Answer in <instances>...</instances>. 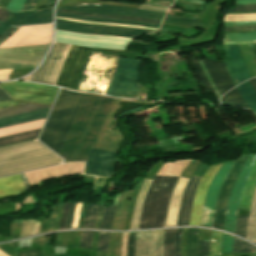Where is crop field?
Instances as JSON below:
<instances>
[{"label":"crop field","instance_id":"obj_1","mask_svg":"<svg viewBox=\"0 0 256 256\" xmlns=\"http://www.w3.org/2000/svg\"><path fill=\"white\" fill-rule=\"evenodd\" d=\"M114 98L87 93L59 153L68 162L85 160ZM116 154L92 149L84 174L113 175Z\"/></svg>","mask_w":256,"mask_h":256},{"label":"crop field","instance_id":"obj_2","mask_svg":"<svg viewBox=\"0 0 256 256\" xmlns=\"http://www.w3.org/2000/svg\"><path fill=\"white\" fill-rule=\"evenodd\" d=\"M62 162V158L39 141L0 148V175Z\"/></svg>","mask_w":256,"mask_h":256},{"label":"crop field","instance_id":"obj_3","mask_svg":"<svg viewBox=\"0 0 256 256\" xmlns=\"http://www.w3.org/2000/svg\"><path fill=\"white\" fill-rule=\"evenodd\" d=\"M86 93L62 90L45 130L40 138L59 153L63 140L71 126Z\"/></svg>","mask_w":256,"mask_h":256},{"label":"crop field","instance_id":"obj_4","mask_svg":"<svg viewBox=\"0 0 256 256\" xmlns=\"http://www.w3.org/2000/svg\"><path fill=\"white\" fill-rule=\"evenodd\" d=\"M178 177L155 176L145 199L139 229L163 227Z\"/></svg>","mask_w":256,"mask_h":256},{"label":"crop field","instance_id":"obj_5","mask_svg":"<svg viewBox=\"0 0 256 256\" xmlns=\"http://www.w3.org/2000/svg\"><path fill=\"white\" fill-rule=\"evenodd\" d=\"M14 100L51 105L59 88L26 82L0 83Z\"/></svg>","mask_w":256,"mask_h":256},{"label":"crop field","instance_id":"obj_6","mask_svg":"<svg viewBox=\"0 0 256 256\" xmlns=\"http://www.w3.org/2000/svg\"><path fill=\"white\" fill-rule=\"evenodd\" d=\"M49 44L44 45H33V46H22L12 48H1L0 49V67H13V66H27L34 65L40 62L44 56ZM33 66L27 67H13V68H0V69H22L32 68Z\"/></svg>","mask_w":256,"mask_h":256},{"label":"crop field","instance_id":"obj_7","mask_svg":"<svg viewBox=\"0 0 256 256\" xmlns=\"http://www.w3.org/2000/svg\"><path fill=\"white\" fill-rule=\"evenodd\" d=\"M71 45L55 42L41 67L27 80L55 85Z\"/></svg>","mask_w":256,"mask_h":256},{"label":"crop field","instance_id":"obj_8","mask_svg":"<svg viewBox=\"0 0 256 256\" xmlns=\"http://www.w3.org/2000/svg\"><path fill=\"white\" fill-rule=\"evenodd\" d=\"M140 61L120 58L115 78L107 95H138V68Z\"/></svg>","mask_w":256,"mask_h":256},{"label":"crop field","instance_id":"obj_9","mask_svg":"<svg viewBox=\"0 0 256 256\" xmlns=\"http://www.w3.org/2000/svg\"><path fill=\"white\" fill-rule=\"evenodd\" d=\"M91 48L72 45L56 85L75 89Z\"/></svg>","mask_w":256,"mask_h":256},{"label":"crop field","instance_id":"obj_10","mask_svg":"<svg viewBox=\"0 0 256 256\" xmlns=\"http://www.w3.org/2000/svg\"><path fill=\"white\" fill-rule=\"evenodd\" d=\"M255 158H256V155H249L248 159L246 160L245 164L241 169L239 177L236 181V184L230 196L227 216L225 221V227H224L225 230L235 233V225H236L240 196L243 191L244 185L246 183V180L248 178V175L250 173V170L252 168Z\"/></svg>","mask_w":256,"mask_h":256},{"label":"crop field","instance_id":"obj_11","mask_svg":"<svg viewBox=\"0 0 256 256\" xmlns=\"http://www.w3.org/2000/svg\"><path fill=\"white\" fill-rule=\"evenodd\" d=\"M243 163L244 162H236L234 164L221 188L214 217L213 228L215 229L223 230L229 196Z\"/></svg>","mask_w":256,"mask_h":256},{"label":"crop field","instance_id":"obj_12","mask_svg":"<svg viewBox=\"0 0 256 256\" xmlns=\"http://www.w3.org/2000/svg\"><path fill=\"white\" fill-rule=\"evenodd\" d=\"M235 161L225 162L220 168L213 181L211 182L204 202V209L202 218L206 219L205 224L209 225L210 219H213L214 209L218 197L219 190L221 188L222 182L227 173H229L231 167Z\"/></svg>","mask_w":256,"mask_h":256},{"label":"crop field","instance_id":"obj_13","mask_svg":"<svg viewBox=\"0 0 256 256\" xmlns=\"http://www.w3.org/2000/svg\"><path fill=\"white\" fill-rule=\"evenodd\" d=\"M154 231L138 233L137 256H163L164 230Z\"/></svg>","mask_w":256,"mask_h":256},{"label":"crop field","instance_id":"obj_14","mask_svg":"<svg viewBox=\"0 0 256 256\" xmlns=\"http://www.w3.org/2000/svg\"><path fill=\"white\" fill-rule=\"evenodd\" d=\"M226 56L228 60H225L224 63L235 83L238 85L244 80L251 78L239 50L238 45H227L224 46Z\"/></svg>","mask_w":256,"mask_h":256},{"label":"crop field","instance_id":"obj_15","mask_svg":"<svg viewBox=\"0 0 256 256\" xmlns=\"http://www.w3.org/2000/svg\"><path fill=\"white\" fill-rule=\"evenodd\" d=\"M221 165H222V163L211 166L207 170V172L204 174V176L198 186L196 194L194 196L189 226H199L202 207H203V201H204V197H205L207 188H208L210 182L212 181L216 171L219 169V167Z\"/></svg>","mask_w":256,"mask_h":256},{"label":"crop field","instance_id":"obj_16","mask_svg":"<svg viewBox=\"0 0 256 256\" xmlns=\"http://www.w3.org/2000/svg\"><path fill=\"white\" fill-rule=\"evenodd\" d=\"M221 96L235 87L223 61L202 60Z\"/></svg>","mask_w":256,"mask_h":256},{"label":"crop field","instance_id":"obj_17","mask_svg":"<svg viewBox=\"0 0 256 256\" xmlns=\"http://www.w3.org/2000/svg\"><path fill=\"white\" fill-rule=\"evenodd\" d=\"M120 99H114L110 110L106 116V119L101 127V130L97 136V139L93 145L92 148L95 149H101V150H108V151H114L117 152L118 148H119V140L117 139L116 136L112 135L111 133H109L107 131L109 125H110V121H111V117L119 103Z\"/></svg>","mask_w":256,"mask_h":256},{"label":"crop field","instance_id":"obj_18","mask_svg":"<svg viewBox=\"0 0 256 256\" xmlns=\"http://www.w3.org/2000/svg\"><path fill=\"white\" fill-rule=\"evenodd\" d=\"M52 22V6L30 13L9 14L3 25H23Z\"/></svg>","mask_w":256,"mask_h":256},{"label":"crop field","instance_id":"obj_19","mask_svg":"<svg viewBox=\"0 0 256 256\" xmlns=\"http://www.w3.org/2000/svg\"><path fill=\"white\" fill-rule=\"evenodd\" d=\"M195 178H196V175H193L184 192L177 226H180V225L188 226L189 224L193 196L195 194L197 185L201 179L200 177H197V179L195 180Z\"/></svg>","mask_w":256,"mask_h":256},{"label":"crop field","instance_id":"obj_20","mask_svg":"<svg viewBox=\"0 0 256 256\" xmlns=\"http://www.w3.org/2000/svg\"><path fill=\"white\" fill-rule=\"evenodd\" d=\"M187 182H188V179L181 176L174 189V192L170 200L168 212H167V217L165 222L166 227L175 226L181 199H182L183 192Z\"/></svg>","mask_w":256,"mask_h":256},{"label":"crop field","instance_id":"obj_21","mask_svg":"<svg viewBox=\"0 0 256 256\" xmlns=\"http://www.w3.org/2000/svg\"><path fill=\"white\" fill-rule=\"evenodd\" d=\"M56 25L85 28L90 30L125 32V33H133V34H147L154 31V30L127 28V27L101 26V25H93V24H86V23H79V22L63 21V20H57V19H56Z\"/></svg>","mask_w":256,"mask_h":256},{"label":"crop field","instance_id":"obj_22","mask_svg":"<svg viewBox=\"0 0 256 256\" xmlns=\"http://www.w3.org/2000/svg\"><path fill=\"white\" fill-rule=\"evenodd\" d=\"M26 191L21 175L0 178V197L18 196Z\"/></svg>","mask_w":256,"mask_h":256},{"label":"crop field","instance_id":"obj_23","mask_svg":"<svg viewBox=\"0 0 256 256\" xmlns=\"http://www.w3.org/2000/svg\"><path fill=\"white\" fill-rule=\"evenodd\" d=\"M68 7L93 9V10H100V11H110V12H120V13H132V14L148 15V16H154V17H160V18H162L165 15L164 13L141 10V9L92 5V4H83V5L68 6Z\"/></svg>","mask_w":256,"mask_h":256},{"label":"crop field","instance_id":"obj_24","mask_svg":"<svg viewBox=\"0 0 256 256\" xmlns=\"http://www.w3.org/2000/svg\"><path fill=\"white\" fill-rule=\"evenodd\" d=\"M50 109L51 108L0 119V128L44 119L47 117Z\"/></svg>","mask_w":256,"mask_h":256},{"label":"crop field","instance_id":"obj_25","mask_svg":"<svg viewBox=\"0 0 256 256\" xmlns=\"http://www.w3.org/2000/svg\"><path fill=\"white\" fill-rule=\"evenodd\" d=\"M256 188V160L245 185L244 191L240 200V208L250 209L252 197Z\"/></svg>","mask_w":256,"mask_h":256},{"label":"crop field","instance_id":"obj_26","mask_svg":"<svg viewBox=\"0 0 256 256\" xmlns=\"http://www.w3.org/2000/svg\"><path fill=\"white\" fill-rule=\"evenodd\" d=\"M49 107L51 106L27 103L23 105L14 106V107L4 108V109H0V118L22 114L26 112H31L35 110L45 109Z\"/></svg>","mask_w":256,"mask_h":256},{"label":"crop field","instance_id":"obj_27","mask_svg":"<svg viewBox=\"0 0 256 256\" xmlns=\"http://www.w3.org/2000/svg\"><path fill=\"white\" fill-rule=\"evenodd\" d=\"M57 12L71 13V14H77V15H82V16L99 17V18L133 20V21L156 23V24H160L161 23V21H158V20L145 19V18H139V17L105 15V14H93V13H85V12L72 11V10H64V9H58Z\"/></svg>","mask_w":256,"mask_h":256},{"label":"crop field","instance_id":"obj_28","mask_svg":"<svg viewBox=\"0 0 256 256\" xmlns=\"http://www.w3.org/2000/svg\"><path fill=\"white\" fill-rule=\"evenodd\" d=\"M151 182H152V180L145 179V181L140 189L136 207H135V211H134V215H133V219H132L131 229H138L141 209L143 206V202H144V199L146 196L147 189L150 186Z\"/></svg>","mask_w":256,"mask_h":256},{"label":"crop field","instance_id":"obj_29","mask_svg":"<svg viewBox=\"0 0 256 256\" xmlns=\"http://www.w3.org/2000/svg\"><path fill=\"white\" fill-rule=\"evenodd\" d=\"M236 88L248 104L251 111L256 112V92L249 81L242 83Z\"/></svg>","mask_w":256,"mask_h":256},{"label":"crop field","instance_id":"obj_30","mask_svg":"<svg viewBox=\"0 0 256 256\" xmlns=\"http://www.w3.org/2000/svg\"><path fill=\"white\" fill-rule=\"evenodd\" d=\"M40 130L41 129L2 137V138H0V146L12 144V143H16V142H21V141H26V140H30V139H35L38 137Z\"/></svg>","mask_w":256,"mask_h":256},{"label":"crop field","instance_id":"obj_31","mask_svg":"<svg viewBox=\"0 0 256 256\" xmlns=\"http://www.w3.org/2000/svg\"><path fill=\"white\" fill-rule=\"evenodd\" d=\"M56 16L69 17V18L95 21V22H111V23H122V24H130V25H143V26H149V27H155V28L159 27V25H156V24H148V23H140V22H132V21H123V20H109V19L90 18V17H82V16L71 15V14H62V13H56Z\"/></svg>","mask_w":256,"mask_h":256},{"label":"crop field","instance_id":"obj_32","mask_svg":"<svg viewBox=\"0 0 256 256\" xmlns=\"http://www.w3.org/2000/svg\"><path fill=\"white\" fill-rule=\"evenodd\" d=\"M247 239L256 243V191L249 214Z\"/></svg>","mask_w":256,"mask_h":256},{"label":"crop field","instance_id":"obj_33","mask_svg":"<svg viewBox=\"0 0 256 256\" xmlns=\"http://www.w3.org/2000/svg\"><path fill=\"white\" fill-rule=\"evenodd\" d=\"M221 103L225 105L240 106L250 110L241 95L236 90V88L225 94L224 97L221 99Z\"/></svg>","mask_w":256,"mask_h":256},{"label":"crop field","instance_id":"obj_34","mask_svg":"<svg viewBox=\"0 0 256 256\" xmlns=\"http://www.w3.org/2000/svg\"><path fill=\"white\" fill-rule=\"evenodd\" d=\"M199 229L189 228L187 239V256H197Z\"/></svg>","mask_w":256,"mask_h":256},{"label":"crop field","instance_id":"obj_35","mask_svg":"<svg viewBox=\"0 0 256 256\" xmlns=\"http://www.w3.org/2000/svg\"><path fill=\"white\" fill-rule=\"evenodd\" d=\"M223 233L220 231L213 230L210 239V254L211 256L221 255V241Z\"/></svg>","mask_w":256,"mask_h":256},{"label":"crop field","instance_id":"obj_36","mask_svg":"<svg viewBox=\"0 0 256 256\" xmlns=\"http://www.w3.org/2000/svg\"><path fill=\"white\" fill-rule=\"evenodd\" d=\"M176 229L165 230L164 256H174V235Z\"/></svg>","mask_w":256,"mask_h":256},{"label":"crop field","instance_id":"obj_37","mask_svg":"<svg viewBox=\"0 0 256 256\" xmlns=\"http://www.w3.org/2000/svg\"><path fill=\"white\" fill-rule=\"evenodd\" d=\"M56 29L65 30V31H71V32L92 33V34L110 35V36H125V37H132V38H137V37L141 36V35H132V34H124V33L102 32V31H87V30L74 29V28H68V27H60V26H56Z\"/></svg>","mask_w":256,"mask_h":256},{"label":"crop field","instance_id":"obj_38","mask_svg":"<svg viewBox=\"0 0 256 256\" xmlns=\"http://www.w3.org/2000/svg\"><path fill=\"white\" fill-rule=\"evenodd\" d=\"M116 206H108L104 209L103 220L100 228L111 229Z\"/></svg>","mask_w":256,"mask_h":256},{"label":"crop field","instance_id":"obj_39","mask_svg":"<svg viewBox=\"0 0 256 256\" xmlns=\"http://www.w3.org/2000/svg\"><path fill=\"white\" fill-rule=\"evenodd\" d=\"M99 206L100 205H88L87 215L83 227L94 228Z\"/></svg>","mask_w":256,"mask_h":256},{"label":"crop field","instance_id":"obj_40","mask_svg":"<svg viewBox=\"0 0 256 256\" xmlns=\"http://www.w3.org/2000/svg\"><path fill=\"white\" fill-rule=\"evenodd\" d=\"M194 68L196 69L199 77H200V80L203 84V86L205 87V89L207 90V92H211V91H214L213 88L211 87L207 77L205 76L197 58H193V59H190Z\"/></svg>","mask_w":256,"mask_h":256},{"label":"crop field","instance_id":"obj_41","mask_svg":"<svg viewBox=\"0 0 256 256\" xmlns=\"http://www.w3.org/2000/svg\"><path fill=\"white\" fill-rule=\"evenodd\" d=\"M233 252H239V253H256L255 247L236 238L234 240V248Z\"/></svg>","mask_w":256,"mask_h":256},{"label":"crop field","instance_id":"obj_42","mask_svg":"<svg viewBox=\"0 0 256 256\" xmlns=\"http://www.w3.org/2000/svg\"><path fill=\"white\" fill-rule=\"evenodd\" d=\"M226 41H253L256 40V32L224 35Z\"/></svg>","mask_w":256,"mask_h":256},{"label":"crop field","instance_id":"obj_43","mask_svg":"<svg viewBox=\"0 0 256 256\" xmlns=\"http://www.w3.org/2000/svg\"><path fill=\"white\" fill-rule=\"evenodd\" d=\"M110 232H99L97 250L108 252Z\"/></svg>","mask_w":256,"mask_h":256},{"label":"crop field","instance_id":"obj_44","mask_svg":"<svg viewBox=\"0 0 256 256\" xmlns=\"http://www.w3.org/2000/svg\"><path fill=\"white\" fill-rule=\"evenodd\" d=\"M233 240V237L224 234L222 241V255L232 252Z\"/></svg>","mask_w":256,"mask_h":256},{"label":"crop field","instance_id":"obj_45","mask_svg":"<svg viewBox=\"0 0 256 256\" xmlns=\"http://www.w3.org/2000/svg\"><path fill=\"white\" fill-rule=\"evenodd\" d=\"M248 217H238L237 235L244 237L246 235Z\"/></svg>","mask_w":256,"mask_h":256},{"label":"crop field","instance_id":"obj_46","mask_svg":"<svg viewBox=\"0 0 256 256\" xmlns=\"http://www.w3.org/2000/svg\"><path fill=\"white\" fill-rule=\"evenodd\" d=\"M93 232H82L80 248H90Z\"/></svg>","mask_w":256,"mask_h":256},{"label":"crop field","instance_id":"obj_47","mask_svg":"<svg viewBox=\"0 0 256 256\" xmlns=\"http://www.w3.org/2000/svg\"><path fill=\"white\" fill-rule=\"evenodd\" d=\"M13 100L9 94H7L2 88H0V101ZM14 101L0 102V108L15 105Z\"/></svg>","mask_w":256,"mask_h":256},{"label":"crop field","instance_id":"obj_48","mask_svg":"<svg viewBox=\"0 0 256 256\" xmlns=\"http://www.w3.org/2000/svg\"><path fill=\"white\" fill-rule=\"evenodd\" d=\"M198 256H210L209 255V241L199 240Z\"/></svg>","mask_w":256,"mask_h":256},{"label":"crop field","instance_id":"obj_49","mask_svg":"<svg viewBox=\"0 0 256 256\" xmlns=\"http://www.w3.org/2000/svg\"><path fill=\"white\" fill-rule=\"evenodd\" d=\"M125 193H126V191L122 192L120 199L118 201L117 208H116V214H115V220H114L112 229H117V227H118V221H119L120 213L122 210L123 198H124Z\"/></svg>","mask_w":256,"mask_h":256},{"label":"crop field","instance_id":"obj_50","mask_svg":"<svg viewBox=\"0 0 256 256\" xmlns=\"http://www.w3.org/2000/svg\"><path fill=\"white\" fill-rule=\"evenodd\" d=\"M136 234L137 233H129L128 256H135Z\"/></svg>","mask_w":256,"mask_h":256},{"label":"crop field","instance_id":"obj_51","mask_svg":"<svg viewBox=\"0 0 256 256\" xmlns=\"http://www.w3.org/2000/svg\"><path fill=\"white\" fill-rule=\"evenodd\" d=\"M34 221L35 220L22 221V233H21V236L32 234Z\"/></svg>","mask_w":256,"mask_h":256},{"label":"crop field","instance_id":"obj_52","mask_svg":"<svg viewBox=\"0 0 256 256\" xmlns=\"http://www.w3.org/2000/svg\"><path fill=\"white\" fill-rule=\"evenodd\" d=\"M56 18H57V19H63V20L87 22V21H81V20H75V19H69V18H60V17H56ZM87 23L102 24V25H115V26H127V27H135V28H145V29H154V30H158V29H155V28L137 27V26H130V25H122V24L94 23V22H87Z\"/></svg>","mask_w":256,"mask_h":256},{"label":"crop field","instance_id":"obj_53","mask_svg":"<svg viewBox=\"0 0 256 256\" xmlns=\"http://www.w3.org/2000/svg\"><path fill=\"white\" fill-rule=\"evenodd\" d=\"M256 10V5H236L235 9H231L230 12H242Z\"/></svg>","mask_w":256,"mask_h":256},{"label":"crop field","instance_id":"obj_54","mask_svg":"<svg viewBox=\"0 0 256 256\" xmlns=\"http://www.w3.org/2000/svg\"><path fill=\"white\" fill-rule=\"evenodd\" d=\"M25 0H11L8 8L12 10H21L24 5Z\"/></svg>","mask_w":256,"mask_h":256},{"label":"crop field","instance_id":"obj_55","mask_svg":"<svg viewBox=\"0 0 256 256\" xmlns=\"http://www.w3.org/2000/svg\"><path fill=\"white\" fill-rule=\"evenodd\" d=\"M69 205H70V203L64 204L62 220H61V224H60V228L59 229H65L67 215H68V210H69Z\"/></svg>","mask_w":256,"mask_h":256},{"label":"crop field","instance_id":"obj_56","mask_svg":"<svg viewBox=\"0 0 256 256\" xmlns=\"http://www.w3.org/2000/svg\"><path fill=\"white\" fill-rule=\"evenodd\" d=\"M182 228L177 229L176 240H175V256H180V238Z\"/></svg>","mask_w":256,"mask_h":256},{"label":"crop field","instance_id":"obj_57","mask_svg":"<svg viewBox=\"0 0 256 256\" xmlns=\"http://www.w3.org/2000/svg\"><path fill=\"white\" fill-rule=\"evenodd\" d=\"M75 205H76V203H71V205H70V210H69V215H68V220H67L66 229L71 228L72 219H73V214H74V210H75Z\"/></svg>","mask_w":256,"mask_h":256},{"label":"crop field","instance_id":"obj_58","mask_svg":"<svg viewBox=\"0 0 256 256\" xmlns=\"http://www.w3.org/2000/svg\"><path fill=\"white\" fill-rule=\"evenodd\" d=\"M18 256H41V251L29 250L17 252Z\"/></svg>","mask_w":256,"mask_h":256},{"label":"crop field","instance_id":"obj_59","mask_svg":"<svg viewBox=\"0 0 256 256\" xmlns=\"http://www.w3.org/2000/svg\"><path fill=\"white\" fill-rule=\"evenodd\" d=\"M166 19H172V20H177V21H183V22H189V23H197V24H201L200 21L197 20H192V19H186V18H181V17H175V16H169L166 15L165 16Z\"/></svg>","mask_w":256,"mask_h":256},{"label":"crop field","instance_id":"obj_60","mask_svg":"<svg viewBox=\"0 0 256 256\" xmlns=\"http://www.w3.org/2000/svg\"><path fill=\"white\" fill-rule=\"evenodd\" d=\"M63 8H64V9H72V10L85 11V12H93V13H105V14L130 15V14L108 13V12H100V11H87V10L74 9V8H67V7H63ZM130 16H139V15H130ZM140 17H146V18H152V19H158V20H161L160 18H154V17H147V16H140Z\"/></svg>","mask_w":256,"mask_h":256},{"label":"crop field","instance_id":"obj_61","mask_svg":"<svg viewBox=\"0 0 256 256\" xmlns=\"http://www.w3.org/2000/svg\"><path fill=\"white\" fill-rule=\"evenodd\" d=\"M57 206L58 205L52 206L50 219H49V227L47 231H50L53 228Z\"/></svg>","mask_w":256,"mask_h":256},{"label":"crop field","instance_id":"obj_62","mask_svg":"<svg viewBox=\"0 0 256 256\" xmlns=\"http://www.w3.org/2000/svg\"><path fill=\"white\" fill-rule=\"evenodd\" d=\"M253 29H256V25H254V26H244V27L224 28V31L253 30Z\"/></svg>","mask_w":256,"mask_h":256},{"label":"crop field","instance_id":"obj_63","mask_svg":"<svg viewBox=\"0 0 256 256\" xmlns=\"http://www.w3.org/2000/svg\"><path fill=\"white\" fill-rule=\"evenodd\" d=\"M140 8L154 10V11H160V12H164V13L167 12L166 8L154 7V6H148V5H141Z\"/></svg>","mask_w":256,"mask_h":256},{"label":"crop field","instance_id":"obj_64","mask_svg":"<svg viewBox=\"0 0 256 256\" xmlns=\"http://www.w3.org/2000/svg\"><path fill=\"white\" fill-rule=\"evenodd\" d=\"M17 27H10L2 36H0V43L11 35Z\"/></svg>","mask_w":256,"mask_h":256},{"label":"crop field","instance_id":"obj_65","mask_svg":"<svg viewBox=\"0 0 256 256\" xmlns=\"http://www.w3.org/2000/svg\"><path fill=\"white\" fill-rule=\"evenodd\" d=\"M225 24H232V23H240V24H232V25H225V26H244V25H254L256 21L252 22H224Z\"/></svg>","mask_w":256,"mask_h":256},{"label":"crop field","instance_id":"obj_66","mask_svg":"<svg viewBox=\"0 0 256 256\" xmlns=\"http://www.w3.org/2000/svg\"><path fill=\"white\" fill-rule=\"evenodd\" d=\"M35 3H36V0H27L22 11L33 9Z\"/></svg>","mask_w":256,"mask_h":256},{"label":"crop field","instance_id":"obj_67","mask_svg":"<svg viewBox=\"0 0 256 256\" xmlns=\"http://www.w3.org/2000/svg\"><path fill=\"white\" fill-rule=\"evenodd\" d=\"M103 209H104V205H101L100 209H99L97 223H96V227L95 228H99L100 227L101 220H102Z\"/></svg>","mask_w":256,"mask_h":256},{"label":"crop field","instance_id":"obj_68","mask_svg":"<svg viewBox=\"0 0 256 256\" xmlns=\"http://www.w3.org/2000/svg\"><path fill=\"white\" fill-rule=\"evenodd\" d=\"M80 205H81V203H77L76 214H75V218H74V222H73L72 228H77V219H78V215H79V211H80Z\"/></svg>","mask_w":256,"mask_h":256},{"label":"crop field","instance_id":"obj_69","mask_svg":"<svg viewBox=\"0 0 256 256\" xmlns=\"http://www.w3.org/2000/svg\"><path fill=\"white\" fill-rule=\"evenodd\" d=\"M8 14H9V11H7V10H5V9L0 7V19L1 20L5 21V19L7 18Z\"/></svg>","mask_w":256,"mask_h":256},{"label":"crop field","instance_id":"obj_70","mask_svg":"<svg viewBox=\"0 0 256 256\" xmlns=\"http://www.w3.org/2000/svg\"><path fill=\"white\" fill-rule=\"evenodd\" d=\"M236 4H256V0H238Z\"/></svg>","mask_w":256,"mask_h":256},{"label":"crop field","instance_id":"obj_71","mask_svg":"<svg viewBox=\"0 0 256 256\" xmlns=\"http://www.w3.org/2000/svg\"><path fill=\"white\" fill-rule=\"evenodd\" d=\"M10 26H1L0 27V35L4 33Z\"/></svg>","mask_w":256,"mask_h":256},{"label":"crop field","instance_id":"obj_72","mask_svg":"<svg viewBox=\"0 0 256 256\" xmlns=\"http://www.w3.org/2000/svg\"><path fill=\"white\" fill-rule=\"evenodd\" d=\"M10 0H0V4L7 7V5L9 4Z\"/></svg>","mask_w":256,"mask_h":256},{"label":"crop field","instance_id":"obj_73","mask_svg":"<svg viewBox=\"0 0 256 256\" xmlns=\"http://www.w3.org/2000/svg\"><path fill=\"white\" fill-rule=\"evenodd\" d=\"M164 20H165V21L176 22V23H181V24H187V25L201 26V25H197V24H189V23L177 22V21L166 20V19H164Z\"/></svg>","mask_w":256,"mask_h":256},{"label":"crop field","instance_id":"obj_74","mask_svg":"<svg viewBox=\"0 0 256 256\" xmlns=\"http://www.w3.org/2000/svg\"><path fill=\"white\" fill-rule=\"evenodd\" d=\"M254 89L256 90V78L249 80Z\"/></svg>","mask_w":256,"mask_h":256},{"label":"crop field","instance_id":"obj_75","mask_svg":"<svg viewBox=\"0 0 256 256\" xmlns=\"http://www.w3.org/2000/svg\"><path fill=\"white\" fill-rule=\"evenodd\" d=\"M3 21L0 20V26L2 25Z\"/></svg>","mask_w":256,"mask_h":256},{"label":"crop field","instance_id":"obj_76","mask_svg":"<svg viewBox=\"0 0 256 256\" xmlns=\"http://www.w3.org/2000/svg\"><path fill=\"white\" fill-rule=\"evenodd\" d=\"M228 18H231V17H228ZM244 18V17H243Z\"/></svg>","mask_w":256,"mask_h":256}]
</instances>
